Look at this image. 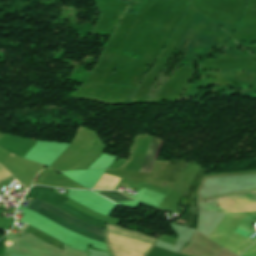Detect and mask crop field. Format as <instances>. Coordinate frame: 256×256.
<instances>
[{"instance_id":"crop-field-2","label":"crop field","mask_w":256,"mask_h":256,"mask_svg":"<svg viewBox=\"0 0 256 256\" xmlns=\"http://www.w3.org/2000/svg\"><path fill=\"white\" fill-rule=\"evenodd\" d=\"M43 204H44V202L35 199V201L30 205L29 210L37 212ZM42 208L46 209L47 211L51 212L52 214L56 215L57 217L61 218L62 220L66 221L70 224H73L75 226L86 229L88 231H91L93 233H96V234L101 235V236L104 237V231L103 230H101L99 228L92 227L88 224H85V223H83V222H81V221H79V220H77V219H75V218H73V217H71V216L53 208V207H51L50 205H48L46 203L44 204V206ZM42 208L37 213L41 214L42 216L46 217L47 219L65 227V228H67V229H69V230H71V231H73L77 234L85 235L87 237L93 238L96 241L104 243V238L103 237L98 236L96 234H93L91 232L85 231V230L80 229L78 227H75L73 225H70V224L62 221L61 219L57 218L56 216L52 215L51 213L47 212L46 210L42 209Z\"/></svg>"},{"instance_id":"crop-field-3","label":"crop field","mask_w":256,"mask_h":256,"mask_svg":"<svg viewBox=\"0 0 256 256\" xmlns=\"http://www.w3.org/2000/svg\"><path fill=\"white\" fill-rule=\"evenodd\" d=\"M171 186V183L149 178V180L143 187V190L163 196V194L167 193Z\"/></svg>"},{"instance_id":"crop-field-6","label":"crop field","mask_w":256,"mask_h":256,"mask_svg":"<svg viewBox=\"0 0 256 256\" xmlns=\"http://www.w3.org/2000/svg\"><path fill=\"white\" fill-rule=\"evenodd\" d=\"M7 174H9L5 168H3L2 166H0V179H2L3 177H5Z\"/></svg>"},{"instance_id":"crop-field-5","label":"crop field","mask_w":256,"mask_h":256,"mask_svg":"<svg viewBox=\"0 0 256 256\" xmlns=\"http://www.w3.org/2000/svg\"><path fill=\"white\" fill-rule=\"evenodd\" d=\"M100 193L117 201V202L133 200V199L127 198L125 196H122L115 191H101Z\"/></svg>"},{"instance_id":"crop-field-1","label":"crop field","mask_w":256,"mask_h":256,"mask_svg":"<svg viewBox=\"0 0 256 256\" xmlns=\"http://www.w3.org/2000/svg\"><path fill=\"white\" fill-rule=\"evenodd\" d=\"M155 239L107 225L106 246L110 256H145Z\"/></svg>"},{"instance_id":"crop-field-7","label":"crop field","mask_w":256,"mask_h":256,"mask_svg":"<svg viewBox=\"0 0 256 256\" xmlns=\"http://www.w3.org/2000/svg\"><path fill=\"white\" fill-rule=\"evenodd\" d=\"M0 208H1V206H0Z\"/></svg>"},{"instance_id":"crop-field-4","label":"crop field","mask_w":256,"mask_h":256,"mask_svg":"<svg viewBox=\"0 0 256 256\" xmlns=\"http://www.w3.org/2000/svg\"><path fill=\"white\" fill-rule=\"evenodd\" d=\"M120 179L104 174L93 189H114Z\"/></svg>"}]
</instances>
